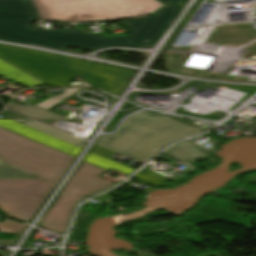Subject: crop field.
I'll use <instances>...</instances> for the list:
<instances>
[{
  "mask_svg": "<svg viewBox=\"0 0 256 256\" xmlns=\"http://www.w3.org/2000/svg\"><path fill=\"white\" fill-rule=\"evenodd\" d=\"M165 5L154 15L139 20L122 22L127 35L106 38L79 29H40L31 26L37 20L28 0H0V39L56 48L71 52L67 46L98 50L110 46L151 47L178 15L186 0H159Z\"/></svg>",
  "mask_w": 256,
  "mask_h": 256,
  "instance_id": "crop-field-1",
  "label": "crop field"
},
{
  "mask_svg": "<svg viewBox=\"0 0 256 256\" xmlns=\"http://www.w3.org/2000/svg\"><path fill=\"white\" fill-rule=\"evenodd\" d=\"M0 159L39 179H0V210L29 223L74 157L0 128Z\"/></svg>",
  "mask_w": 256,
  "mask_h": 256,
  "instance_id": "crop-field-2",
  "label": "crop field"
},
{
  "mask_svg": "<svg viewBox=\"0 0 256 256\" xmlns=\"http://www.w3.org/2000/svg\"><path fill=\"white\" fill-rule=\"evenodd\" d=\"M0 58L46 82L51 87L69 86L73 74L92 86L119 95L134 70L0 44ZM103 90V91H104Z\"/></svg>",
  "mask_w": 256,
  "mask_h": 256,
  "instance_id": "crop-field-3",
  "label": "crop field"
},
{
  "mask_svg": "<svg viewBox=\"0 0 256 256\" xmlns=\"http://www.w3.org/2000/svg\"><path fill=\"white\" fill-rule=\"evenodd\" d=\"M198 132L171 118L142 112L129 118L119 134L100 137L96 145L144 163L164 144Z\"/></svg>",
  "mask_w": 256,
  "mask_h": 256,
  "instance_id": "crop-field-4",
  "label": "crop field"
},
{
  "mask_svg": "<svg viewBox=\"0 0 256 256\" xmlns=\"http://www.w3.org/2000/svg\"><path fill=\"white\" fill-rule=\"evenodd\" d=\"M43 21L89 22L141 16L163 5L156 0H34Z\"/></svg>",
  "mask_w": 256,
  "mask_h": 256,
  "instance_id": "crop-field-5",
  "label": "crop field"
},
{
  "mask_svg": "<svg viewBox=\"0 0 256 256\" xmlns=\"http://www.w3.org/2000/svg\"><path fill=\"white\" fill-rule=\"evenodd\" d=\"M106 170L82 162L62 190L56 203L39 222L44 228L63 234L74 204L83 196L105 189L113 183L98 178Z\"/></svg>",
  "mask_w": 256,
  "mask_h": 256,
  "instance_id": "crop-field-6",
  "label": "crop field"
},
{
  "mask_svg": "<svg viewBox=\"0 0 256 256\" xmlns=\"http://www.w3.org/2000/svg\"><path fill=\"white\" fill-rule=\"evenodd\" d=\"M0 127L67 153L72 156L78 155L81 151V148L76 147L67 142L61 141L59 139L53 138L51 136L45 135L43 133L32 130L24 125L18 124L10 120H0Z\"/></svg>",
  "mask_w": 256,
  "mask_h": 256,
  "instance_id": "crop-field-7",
  "label": "crop field"
},
{
  "mask_svg": "<svg viewBox=\"0 0 256 256\" xmlns=\"http://www.w3.org/2000/svg\"><path fill=\"white\" fill-rule=\"evenodd\" d=\"M208 153V150L187 141L169 148L163 154L181 161L195 162L206 157Z\"/></svg>",
  "mask_w": 256,
  "mask_h": 256,
  "instance_id": "crop-field-8",
  "label": "crop field"
},
{
  "mask_svg": "<svg viewBox=\"0 0 256 256\" xmlns=\"http://www.w3.org/2000/svg\"><path fill=\"white\" fill-rule=\"evenodd\" d=\"M0 76L12 80L16 83L24 85L28 88L44 84V82L36 79L35 77L25 73L24 71L16 68L15 66L0 59Z\"/></svg>",
  "mask_w": 256,
  "mask_h": 256,
  "instance_id": "crop-field-9",
  "label": "crop field"
},
{
  "mask_svg": "<svg viewBox=\"0 0 256 256\" xmlns=\"http://www.w3.org/2000/svg\"><path fill=\"white\" fill-rule=\"evenodd\" d=\"M13 121L24 124V125H26L30 128H33V129L38 130L40 132H43V133H46L48 135L54 136L56 138L62 139L64 141L72 143V144H74L76 146H79L81 148H83V146L85 144V141H83V140H80V139L75 138L73 136L67 135L65 133H62L60 131H57L55 129L47 127L45 125L34 122L32 120H13Z\"/></svg>",
  "mask_w": 256,
  "mask_h": 256,
  "instance_id": "crop-field-10",
  "label": "crop field"
},
{
  "mask_svg": "<svg viewBox=\"0 0 256 256\" xmlns=\"http://www.w3.org/2000/svg\"><path fill=\"white\" fill-rule=\"evenodd\" d=\"M8 108L13 109L21 114H24V115H27V116H30L33 118L68 120V119L62 118L60 116H57L45 109L37 107L34 104L21 106L17 103L12 102V104Z\"/></svg>",
  "mask_w": 256,
  "mask_h": 256,
  "instance_id": "crop-field-11",
  "label": "crop field"
},
{
  "mask_svg": "<svg viewBox=\"0 0 256 256\" xmlns=\"http://www.w3.org/2000/svg\"><path fill=\"white\" fill-rule=\"evenodd\" d=\"M85 161H88L92 164H95L99 167H102L106 170H109L111 168H114L116 170H119L121 172H124L126 174L130 173L132 170V168H129L127 166L121 165L119 163H116L114 161H111L109 159L100 157L94 153L89 152L88 155L86 156V158L84 159Z\"/></svg>",
  "mask_w": 256,
  "mask_h": 256,
  "instance_id": "crop-field-12",
  "label": "crop field"
},
{
  "mask_svg": "<svg viewBox=\"0 0 256 256\" xmlns=\"http://www.w3.org/2000/svg\"><path fill=\"white\" fill-rule=\"evenodd\" d=\"M93 216H95V215L80 208L78 211V214L76 216L75 222L73 224L74 226H77V227L75 228L74 231H70L68 237H70L71 239L80 240L83 235L86 223Z\"/></svg>",
  "mask_w": 256,
  "mask_h": 256,
  "instance_id": "crop-field-13",
  "label": "crop field"
},
{
  "mask_svg": "<svg viewBox=\"0 0 256 256\" xmlns=\"http://www.w3.org/2000/svg\"><path fill=\"white\" fill-rule=\"evenodd\" d=\"M27 227V225L20 224L8 219H5L0 223V232H14L17 233L16 237L13 240H0L2 243H14L15 240L19 237L21 232Z\"/></svg>",
  "mask_w": 256,
  "mask_h": 256,
  "instance_id": "crop-field-14",
  "label": "crop field"
},
{
  "mask_svg": "<svg viewBox=\"0 0 256 256\" xmlns=\"http://www.w3.org/2000/svg\"><path fill=\"white\" fill-rule=\"evenodd\" d=\"M0 178H35L0 161Z\"/></svg>",
  "mask_w": 256,
  "mask_h": 256,
  "instance_id": "crop-field-15",
  "label": "crop field"
},
{
  "mask_svg": "<svg viewBox=\"0 0 256 256\" xmlns=\"http://www.w3.org/2000/svg\"><path fill=\"white\" fill-rule=\"evenodd\" d=\"M80 89H82V88L63 89L64 92L61 95L52 96V97L48 98L47 100L41 102L37 106H40V107L45 108V109H48L51 106H53L56 103H58L59 101L63 100L64 98L74 94L75 92H77Z\"/></svg>",
  "mask_w": 256,
  "mask_h": 256,
  "instance_id": "crop-field-16",
  "label": "crop field"
},
{
  "mask_svg": "<svg viewBox=\"0 0 256 256\" xmlns=\"http://www.w3.org/2000/svg\"><path fill=\"white\" fill-rule=\"evenodd\" d=\"M187 217L189 218V220L191 222H193L196 225L220 220V219H216V218H213V217H210V216H207V215H204V214H200V213H197V212H194V211L189 213L187 215ZM224 222H226V221H224ZM227 223H229V222H227Z\"/></svg>",
  "mask_w": 256,
  "mask_h": 256,
  "instance_id": "crop-field-17",
  "label": "crop field"
},
{
  "mask_svg": "<svg viewBox=\"0 0 256 256\" xmlns=\"http://www.w3.org/2000/svg\"><path fill=\"white\" fill-rule=\"evenodd\" d=\"M90 151L95 152V153H97V154H99V155H101L103 157H106V158H108V157L112 156L113 154H115L114 152H112L110 150L101 148V147L96 146V145H94L93 148Z\"/></svg>",
  "mask_w": 256,
  "mask_h": 256,
  "instance_id": "crop-field-18",
  "label": "crop field"
},
{
  "mask_svg": "<svg viewBox=\"0 0 256 256\" xmlns=\"http://www.w3.org/2000/svg\"><path fill=\"white\" fill-rule=\"evenodd\" d=\"M1 116L6 117V118H24V117H22V116L16 115V114L11 113V112H9V111H4V112L1 114Z\"/></svg>",
  "mask_w": 256,
  "mask_h": 256,
  "instance_id": "crop-field-19",
  "label": "crop field"
},
{
  "mask_svg": "<svg viewBox=\"0 0 256 256\" xmlns=\"http://www.w3.org/2000/svg\"><path fill=\"white\" fill-rule=\"evenodd\" d=\"M243 128L256 131V120L246 124Z\"/></svg>",
  "mask_w": 256,
  "mask_h": 256,
  "instance_id": "crop-field-20",
  "label": "crop field"
}]
</instances>
